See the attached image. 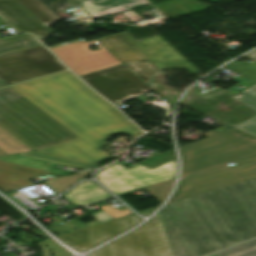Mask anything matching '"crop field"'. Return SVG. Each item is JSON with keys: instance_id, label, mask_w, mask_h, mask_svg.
<instances>
[{"instance_id": "obj_9", "label": "crop field", "mask_w": 256, "mask_h": 256, "mask_svg": "<svg viewBox=\"0 0 256 256\" xmlns=\"http://www.w3.org/2000/svg\"><path fill=\"white\" fill-rule=\"evenodd\" d=\"M140 221L139 217L132 214L57 237L77 251H85L135 226Z\"/></svg>"}, {"instance_id": "obj_24", "label": "crop field", "mask_w": 256, "mask_h": 256, "mask_svg": "<svg viewBox=\"0 0 256 256\" xmlns=\"http://www.w3.org/2000/svg\"><path fill=\"white\" fill-rule=\"evenodd\" d=\"M173 181L150 186L146 188L152 195H154L158 200L161 202L166 197V195L169 193L171 185Z\"/></svg>"}, {"instance_id": "obj_5", "label": "crop field", "mask_w": 256, "mask_h": 256, "mask_svg": "<svg viewBox=\"0 0 256 256\" xmlns=\"http://www.w3.org/2000/svg\"><path fill=\"white\" fill-rule=\"evenodd\" d=\"M239 165H226L189 175L179 181L168 203L188 198L207 191L256 178V155L237 160Z\"/></svg>"}, {"instance_id": "obj_16", "label": "crop field", "mask_w": 256, "mask_h": 256, "mask_svg": "<svg viewBox=\"0 0 256 256\" xmlns=\"http://www.w3.org/2000/svg\"><path fill=\"white\" fill-rule=\"evenodd\" d=\"M233 97L256 109V85L234 95ZM234 127L256 136V116Z\"/></svg>"}, {"instance_id": "obj_10", "label": "crop field", "mask_w": 256, "mask_h": 256, "mask_svg": "<svg viewBox=\"0 0 256 256\" xmlns=\"http://www.w3.org/2000/svg\"><path fill=\"white\" fill-rule=\"evenodd\" d=\"M121 34L162 70L186 69L191 74L199 72L159 35L136 42L128 33Z\"/></svg>"}, {"instance_id": "obj_20", "label": "crop field", "mask_w": 256, "mask_h": 256, "mask_svg": "<svg viewBox=\"0 0 256 256\" xmlns=\"http://www.w3.org/2000/svg\"><path fill=\"white\" fill-rule=\"evenodd\" d=\"M130 68L139 78L147 83L156 73L161 71L153 63H138V64H125Z\"/></svg>"}, {"instance_id": "obj_13", "label": "crop field", "mask_w": 256, "mask_h": 256, "mask_svg": "<svg viewBox=\"0 0 256 256\" xmlns=\"http://www.w3.org/2000/svg\"><path fill=\"white\" fill-rule=\"evenodd\" d=\"M123 63L151 62L120 33L96 39Z\"/></svg>"}, {"instance_id": "obj_14", "label": "crop field", "mask_w": 256, "mask_h": 256, "mask_svg": "<svg viewBox=\"0 0 256 256\" xmlns=\"http://www.w3.org/2000/svg\"><path fill=\"white\" fill-rule=\"evenodd\" d=\"M63 196L68 201L79 206L110 197L111 195L104 191L102 188H100L96 183L88 181L81 183Z\"/></svg>"}, {"instance_id": "obj_1", "label": "crop field", "mask_w": 256, "mask_h": 256, "mask_svg": "<svg viewBox=\"0 0 256 256\" xmlns=\"http://www.w3.org/2000/svg\"><path fill=\"white\" fill-rule=\"evenodd\" d=\"M256 237V179L165 205L88 256H205Z\"/></svg>"}, {"instance_id": "obj_7", "label": "crop field", "mask_w": 256, "mask_h": 256, "mask_svg": "<svg viewBox=\"0 0 256 256\" xmlns=\"http://www.w3.org/2000/svg\"><path fill=\"white\" fill-rule=\"evenodd\" d=\"M80 78L115 106L151 91L124 64Z\"/></svg>"}, {"instance_id": "obj_4", "label": "crop field", "mask_w": 256, "mask_h": 256, "mask_svg": "<svg viewBox=\"0 0 256 256\" xmlns=\"http://www.w3.org/2000/svg\"><path fill=\"white\" fill-rule=\"evenodd\" d=\"M179 150L185 175L256 154V137L231 127Z\"/></svg>"}, {"instance_id": "obj_25", "label": "crop field", "mask_w": 256, "mask_h": 256, "mask_svg": "<svg viewBox=\"0 0 256 256\" xmlns=\"http://www.w3.org/2000/svg\"><path fill=\"white\" fill-rule=\"evenodd\" d=\"M157 208V207H156ZM156 208L153 209H149L143 212H139V214L143 215V216H148L151 212H153Z\"/></svg>"}, {"instance_id": "obj_29", "label": "crop field", "mask_w": 256, "mask_h": 256, "mask_svg": "<svg viewBox=\"0 0 256 256\" xmlns=\"http://www.w3.org/2000/svg\"><path fill=\"white\" fill-rule=\"evenodd\" d=\"M212 256H214V255H212Z\"/></svg>"}, {"instance_id": "obj_8", "label": "crop field", "mask_w": 256, "mask_h": 256, "mask_svg": "<svg viewBox=\"0 0 256 256\" xmlns=\"http://www.w3.org/2000/svg\"><path fill=\"white\" fill-rule=\"evenodd\" d=\"M176 175V160H172L153 170L139 164L127 169L120 163H115L102 171L96 177L116 195L148 186L160 181L174 178Z\"/></svg>"}, {"instance_id": "obj_18", "label": "crop field", "mask_w": 256, "mask_h": 256, "mask_svg": "<svg viewBox=\"0 0 256 256\" xmlns=\"http://www.w3.org/2000/svg\"><path fill=\"white\" fill-rule=\"evenodd\" d=\"M0 159L25 165V166H29V167H33V168H37V169H41V170H45V171H49V172L62 174V172L58 171L54 167L55 165L54 163H50V162H46V161H42V160L30 158V157L18 155V154L2 156L0 157Z\"/></svg>"}, {"instance_id": "obj_12", "label": "crop field", "mask_w": 256, "mask_h": 256, "mask_svg": "<svg viewBox=\"0 0 256 256\" xmlns=\"http://www.w3.org/2000/svg\"><path fill=\"white\" fill-rule=\"evenodd\" d=\"M49 172L0 160V189L4 192L33 185L28 180Z\"/></svg>"}, {"instance_id": "obj_11", "label": "crop field", "mask_w": 256, "mask_h": 256, "mask_svg": "<svg viewBox=\"0 0 256 256\" xmlns=\"http://www.w3.org/2000/svg\"><path fill=\"white\" fill-rule=\"evenodd\" d=\"M0 16L17 32H30L39 40L51 33L15 0H0Z\"/></svg>"}, {"instance_id": "obj_21", "label": "crop field", "mask_w": 256, "mask_h": 256, "mask_svg": "<svg viewBox=\"0 0 256 256\" xmlns=\"http://www.w3.org/2000/svg\"><path fill=\"white\" fill-rule=\"evenodd\" d=\"M216 256H256V240L242 243L226 251L215 254Z\"/></svg>"}, {"instance_id": "obj_19", "label": "crop field", "mask_w": 256, "mask_h": 256, "mask_svg": "<svg viewBox=\"0 0 256 256\" xmlns=\"http://www.w3.org/2000/svg\"><path fill=\"white\" fill-rule=\"evenodd\" d=\"M30 151L32 150L0 128V156Z\"/></svg>"}, {"instance_id": "obj_6", "label": "crop field", "mask_w": 256, "mask_h": 256, "mask_svg": "<svg viewBox=\"0 0 256 256\" xmlns=\"http://www.w3.org/2000/svg\"><path fill=\"white\" fill-rule=\"evenodd\" d=\"M45 49L39 46L0 56V80L9 85L65 70Z\"/></svg>"}, {"instance_id": "obj_28", "label": "crop field", "mask_w": 256, "mask_h": 256, "mask_svg": "<svg viewBox=\"0 0 256 256\" xmlns=\"http://www.w3.org/2000/svg\"><path fill=\"white\" fill-rule=\"evenodd\" d=\"M1 86H5V84H4L3 82H1V81H0V87H1Z\"/></svg>"}, {"instance_id": "obj_3", "label": "crop field", "mask_w": 256, "mask_h": 256, "mask_svg": "<svg viewBox=\"0 0 256 256\" xmlns=\"http://www.w3.org/2000/svg\"><path fill=\"white\" fill-rule=\"evenodd\" d=\"M0 126L34 150L78 137L11 87L0 90Z\"/></svg>"}, {"instance_id": "obj_15", "label": "crop field", "mask_w": 256, "mask_h": 256, "mask_svg": "<svg viewBox=\"0 0 256 256\" xmlns=\"http://www.w3.org/2000/svg\"><path fill=\"white\" fill-rule=\"evenodd\" d=\"M33 16H35L47 28L60 18L57 17L48 7L40 0H17Z\"/></svg>"}, {"instance_id": "obj_23", "label": "crop field", "mask_w": 256, "mask_h": 256, "mask_svg": "<svg viewBox=\"0 0 256 256\" xmlns=\"http://www.w3.org/2000/svg\"><path fill=\"white\" fill-rule=\"evenodd\" d=\"M93 171L94 170L85 171V172L74 174V175L67 176L64 178L48 181L46 183L51 188H53L57 193H60L63 190H65L66 188H68L69 186H71L72 184H74L75 182H77L79 178H83Z\"/></svg>"}, {"instance_id": "obj_22", "label": "crop field", "mask_w": 256, "mask_h": 256, "mask_svg": "<svg viewBox=\"0 0 256 256\" xmlns=\"http://www.w3.org/2000/svg\"><path fill=\"white\" fill-rule=\"evenodd\" d=\"M22 155H26V156H30V157H34V158H38V159L66 165V166H70V167H74V168H78V169H82V170H87L89 168L94 167L93 165L84 164V163L71 161V160H67V159H62V158H58V157H53V156L40 154V153H36V152L22 153Z\"/></svg>"}, {"instance_id": "obj_17", "label": "crop field", "mask_w": 256, "mask_h": 256, "mask_svg": "<svg viewBox=\"0 0 256 256\" xmlns=\"http://www.w3.org/2000/svg\"><path fill=\"white\" fill-rule=\"evenodd\" d=\"M21 39H24L30 43L21 45L20 44ZM39 45L40 44L33 38L32 35L24 34L16 37L12 35V36L0 39V55L39 46Z\"/></svg>"}, {"instance_id": "obj_27", "label": "crop field", "mask_w": 256, "mask_h": 256, "mask_svg": "<svg viewBox=\"0 0 256 256\" xmlns=\"http://www.w3.org/2000/svg\"><path fill=\"white\" fill-rule=\"evenodd\" d=\"M249 57H251L252 59L256 60V51H253L249 54H247Z\"/></svg>"}, {"instance_id": "obj_2", "label": "crop field", "mask_w": 256, "mask_h": 256, "mask_svg": "<svg viewBox=\"0 0 256 256\" xmlns=\"http://www.w3.org/2000/svg\"><path fill=\"white\" fill-rule=\"evenodd\" d=\"M16 91L79 136L37 151L99 164L110 158L100 149L117 133L141 131L69 71L12 86Z\"/></svg>"}, {"instance_id": "obj_26", "label": "crop field", "mask_w": 256, "mask_h": 256, "mask_svg": "<svg viewBox=\"0 0 256 256\" xmlns=\"http://www.w3.org/2000/svg\"><path fill=\"white\" fill-rule=\"evenodd\" d=\"M80 40H83V39H78V40H74V41L67 42V43H64V44H60V45H56V46H53V47H49V49L55 48V47H58V46H62V45H65V44L73 43V42H76V41H80Z\"/></svg>"}]
</instances>
